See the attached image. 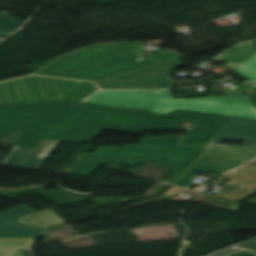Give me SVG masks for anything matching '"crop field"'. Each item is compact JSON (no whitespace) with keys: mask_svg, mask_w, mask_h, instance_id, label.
Masks as SVG:
<instances>
[{"mask_svg":"<svg viewBox=\"0 0 256 256\" xmlns=\"http://www.w3.org/2000/svg\"><path fill=\"white\" fill-rule=\"evenodd\" d=\"M152 115L77 101L19 103L0 106V137L11 129L23 130L15 146L36 150L44 139L81 142L102 130L143 133Z\"/></svg>","mask_w":256,"mask_h":256,"instance_id":"crop-field-1","label":"crop field"},{"mask_svg":"<svg viewBox=\"0 0 256 256\" xmlns=\"http://www.w3.org/2000/svg\"><path fill=\"white\" fill-rule=\"evenodd\" d=\"M140 43L95 45L81 51L62 56L37 72L38 75L55 76L79 80L97 81L130 71L180 58L177 53L163 51L138 63L136 50Z\"/></svg>","mask_w":256,"mask_h":256,"instance_id":"crop-field-2","label":"crop field"},{"mask_svg":"<svg viewBox=\"0 0 256 256\" xmlns=\"http://www.w3.org/2000/svg\"><path fill=\"white\" fill-rule=\"evenodd\" d=\"M184 136L142 138L140 145L121 148L100 147L94 153H85L72 174L88 176L99 164L109 162L135 166L148 161L164 164L173 170L165 181L174 184L200 157L206 145L179 146ZM87 165H91L86 169Z\"/></svg>","mask_w":256,"mask_h":256,"instance_id":"crop-field-3","label":"crop field"},{"mask_svg":"<svg viewBox=\"0 0 256 256\" xmlns=\"http://www.w3.org/2000/svg\"><path fill=\"white\" fill-rule=\"evenodd\" d=\"M227 100L228 111H226L224 98L172 100L167 91H100L86 101L112 107H130L151 111L154 106H168L256 115L253 106L243 104L240 96H228Z\"/></svg>","mask_w":256,"mask_h":256,"instance_id":"crop-field-4","label":"crop field"},{"mask_svg":"<svg viewBox=\"0 0 256 256\" xmlns=\"http://www.w3.org/2000/svg\"><path fill=\"white\" fill-rule=\"evenodd\" d=\"M96 90L89 82L30 76L1 83L0 104L56 99L82 101Z\"/></svg>","mask_w":256,"mask_h":256,"instance_id":"crop-field-5","label":"crop field"},{"mask_svg":"<svg viewBox=\"0 0 256 256\" xmlns=\"http://www.w3.org/2000/svg\"><path fill=\"white\" fill-rule=\"evenodd\" d=\"M182 65L186 64L177 59L150 68L97 81V83L102 89L171 88L173 80L170 79L169 75L172 69Z\"/></svg>","mask_w":256,"mask_h":256,"instance_id":"crop-field-6","label":"crop field"},{"mask_svg":"<svg viewBox=\"0 0 256 256\" xmlns=\"http://www.w3.org/2000/svg\"><path fill=\"white\" fill-rule=\"evenodd\" d=\"M57 143L44 140L36 151L13 147L0 165L37 170Z\"/></svg>","mask_w":256,"mask_h":256,"instance_id":"crop-field-7","label":"crop field"},{"mask_svg":"<svg viewBox=\"0 0 256 256\" xmlns=\"http://www.w3.org/2000/svg\"><path fill=\"white\" fill-rule=\"evenodd\" d=\"M34 211L26 206L0 214V238L40 237L48 229L16 223V218Z\"/></svg>","mask_w":256,"mask_h":256,"instance_id":"crop-field-8","label":"crop field"},{"mask_svg":"<svg viewBox=\"0 0 256 256\" xmlns=\"http://www.w3.org/2000/svg\"><path fill=\"white\" fill-rule=\"evenodd\" d=\"M246 140L244 145L256 146V120L235 118L217 130L210 143L221 144L222 140Z\"/></svg>","mask_w":256,"mask_h":256,"instance_id":"crop-field-9","label":"crop field"},{"mask_svg":"<svg viewBox=\"0 0 256 256\" xmlns=\"http://www.w3.org/2000/svg\"><path fill=\"white\" fill-rule=\"evenodd\" d=\"M241 165L244 164L203 153L201 159L181 177L176 185L193 189L197 185L191 181L199 172L210 171L223 174L225 171Z\"/></svg>","mask_w":256,"mask_h":256,"instance_id":"crop-field-10","label":"crop field"},{"mask_svg":"<svg viewBox=\"0 0 256 256\" xmlns=\"http://www.w3.org/2000/svg\"><path fill=\"white\" fill-rule=\"evenodd\" d=\"M230 119L232 118L212 115L204 123L188 131L181 145L207 144L215 129Z\"/></svg>","mask_w":256,"mask_h":256,"instance_id":"crop-field-11","label":"crop field"},{"mask_svg":"<svg viewBox=\"0 0 256 256\" xmlns=\"http://www.w3.org/2000/svg\"><path fill=\"white\" fill-rule=\"evenodd\" d=\"M211 115L179 112L168 116L153 115L149 130H175L183 121L201 124Z\"/></svg>","mask_w":256,"mask_h":256,"instance_id":"crop-field-12","label":"crop field"},{"mask_svg":"<svg viewBox=\"0 0 256 256\" xmlns=\"http://www.w3.org/2000/svg\"><path fill=\"white\" fill-rule=\"evenodd\" d=\"M205 153L246 164L256 158V147L209 144Z\"/></svg>","mask_w":256,"mask_h":256,"instance_id":"crop-field-13","label":"crop field"},{"mask_svg":"<svg viewBox=\"0 0 256 256\" xmlns=\"http://www.w3.org/2000/svg\"><path fill=\"white\" fill-rule=\"evenodd\" d=\"M256 54V39L238 43L227 51L219 53L215 59L241 66Z\"/></svg>","mask_w":256,"mask_h":256,"instance_id":"crop-field-14","label":"crop field"},{"mask_svg":"<svg viewBox=\"0 0 256 256\" xmlns=\"http://www.w3.org/2000/svg\"><path fill=\"white\" fill-rule=\"evenodd\" d=\"M17 222L46 228L65 222V220L57 216L53 210H44L20 217Z\"/></svg>","mask_w":256,"mask_h":256,"instance_id":"crop-field-15","label":"crop field"},{"mask_svg":"<svg viewBox=\"0 0 256 256\" xmlns=\"http://www.w3.org/2000/svg\"><path fill=\"white\" fill-rule=\"evenodd\" d=\"M35 239H0V256H24L19 248L31 249Z\"/></svg>","mask_w":256,"mask_h":256,"instance_id":"crop-field-16","label":"crop field"},{"mask_svg":"<svg viewBox=\"0 0 256 256\" xmlns=\"http://www.w3.org/2000/svg\"><path fill=\"white\" fill-rule=\"evenodd\" d=\"M244 251H247L256 256V237L245 242L232 245L207 256H233Z\"/></svg>","mask_w":256,"mask_h":256,"instance_id":"crop-field-17","label":"crop field"},{"mask_svg":"<svg viewBox=\"0 0 256 256\" xmlns=\"http://www.w3.org/2000/svg\"><path fill=\"white\" fill-rule=\"evenodd\" d=\"M9 15L7 12L0 13V37L14 32L25 22L19 18L10 19Z\"/></svg>","mask_w":256,"mask_h":256,"instance_id":"crop-field-18","label":"crop field"},{"mask_svg":"<svg viewBox=\"0 0 256 256\" xmlns=\"http://www.w3.org/2000/svg\"><path fill=\"white\" fill-rule=\"evenodd\" d=\"M236 73L250 81H256V55L238 68Z\"/></svg>","mask_w":256,"mask_h":256,"instance_id":"crop-field-19","label":"crop field"},{"mask_svg":"<svg viewBox=\"0 0 256 256\" xmlns=\"http://www.w3.org/2000/svg\"><path fill=\"white\" fill-rule=\"evenodd\" d=\"M175 109L189 110V111H194V112L215 113V114H222V115H228V116H239V117H244V118H255L256 117V116H252V115L232 114V113H224V112H217V111H204V110L189 109V108L155 107L152 112H155V113H168V112L173 111Z\"/></svg>","mask_w":256,"mask_h":256,"instance_id":"crop-field-20","label":"crop field"},{"mask_svg":"<svg viewBox=\"0 0 256 256\" xmlns=\"http://www.w3.org/2000/svg\"><path fill=\"white\" fill-rule=\"evenodd\" d=\"M21 135L22 131L12 130L0 138V143L14 146Z\"/></svg>","mask_w":256,"mask_h":256,"instance_id":"crop-field-21","label":"crop field"},{"mask_svg":"<svg viewBox=\"0 0 256 256\" xmlns=\"http://www.w3.org/2000/svg\"><path fill=\"white\" fill-rule=\"evenodd\" d=\"M95 1H97V2H99L101 4H103V5H106V4H108V3L112 2V1L117 2L119 0H95Z\"/></svg>","mask_w":256,"mask_h":256,"instance_id":"crop-field-22","label":"crop field"},{"mask_svg":"<svg viewBox=\"0 0 256 256\" xmlns=\"http://www.w3.org/2000/svg\"><path fill=\"white\" fill-rule=\"evenodd\" d=\"M21 251L23 252V254H24L25 256H32V254H31V251H30V250L21 249Z\"/></svg>","mask_w":256,"mask_h":256,"instance_id":"crop-field-23","label":"crop field"},{"mask_svg":"<svg viewBox=\"0 0 256 256\" xmlns=\"http://www.w3.org/2000/svg\"><path fill=\"white\" fill-rule=\"evenodd\" d=\"M253 164H255V165H256V161H254V162H253Z\"/></svg>","mask_w":256,"mask_h":256,"instance_id":"crop-field-24","label":"crop field"}]
</instances>
